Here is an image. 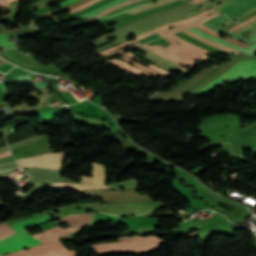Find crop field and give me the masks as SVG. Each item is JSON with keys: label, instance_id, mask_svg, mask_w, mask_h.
<instances>
[{"label": "crop field", "instance_id": "obj_39", "mask_svg": "<svg viewBox=\"0 0 256 256\" xmlns=\"http://www.w3.org/2000/svg\"><path fill=\"white\" fill-rule=\"evenodd\" d=\"M255 33H256V29L253 30L252 32L248 33V34H249V36H251V35H253V34H255ZM248 34H247V35H248ZM247 35H245L244 37H246Z\"/></svg>", "mask_w": 256, "mask_h": 256}, {"label": "crop field", "instance_id": "obj_29", "mask_svg": "<svg viewBox=\"0 0 256 256\" xmlns=\"http://www.w3.org/2000/svg\"><path fill=\"white\" fill-rule=\"evenodd\" d=\"M139 45H141V44H140V43H136V44L131 45V46L126 47V48H136V47H138ZM126 48H123V49H121V50H118V51H115V52H112V53H109V54H106V55H103L102 57L107 58V57H110V56H113V55L122 53L123 50L126 49Z\"/></svg>", "mask_w": 256, "mask_h": 256}, {"label": "crop field", "instance_id": "obj_43", "mask_svg": "<svg viewBox=\"0 0 256 256\" xmlns=\"http://www.w3.org/2000/svg\"><path fill=\"white\" fill-rule=\"evenodd\" d=\"M255 23H256V20H255L254 22L250 23V25H253V24H255Z\"/></svg>", "mask_w": 256, "mask_h": 256}, {"label": "crop field", "instance_id": "obj_26", "mask_svg": "<svg viewBox=\"0 0 256 256\" xmlns=\"http://www.w3.org/2000/svg\"><path fill=\"white\" fill-rule=\"evenodd\" d=\"M170 36H172V37L175 38L177 41H179V42H181V43H183V44H185V45H187V46H189V47H192V48H194V49H197V50H200V51H202V52L207 53L206 50L201 49V48H198V47H196V46H194V45H192V44L186 42L185 40L181 39L180 37H178V36H176V35H174V34H172V35H170ZM207 54H209V53H207ZM209 55H211V54H209ZM211 56H214V55H211Z\"/></svg>", "mask_w": 256, "mask_h": 256}, {"label": "crop field", "instance_id": "obj_32", "mask_svg": "<svg viewBox=\"0 0 256 256\" xmlns=\"http://www.w3.org/2000/svg\"><path fill=\"white\" fill-rule=\"evenodd\" d=\"M76 1H78V0H68V1L60 3V6L63 7L65 5H67V4H70V3H73V2H76Z\"/></svg>", "mask_w": 256, "mask_h": 256}, {"label": "crop field", "instance_id": "obj_25", "mask_svg": "<svg viewBox=\"0 0 256 256\" xmlns=\"http://www.w3.org/2000/svg\"><path fill=\"white\" fill-rule=\"evenodd\" d=\"M125 55H127V56H129V57H131V58H133V59H135V60H137L136 57H135V55H133V54L130 53V52L126 53ZM137 61H138V60H137ZM139 62H140V61H139ZM141 63H142V62H141ZM143 64H144V63H143ZM145 65H146V64H145ZM147 66H149V67H151V68H153V69H155V70H157V71H159V72H161V73H163V74H165V75L170 76L169 72L163 70V69L160 68V67H157V66L152 65V64H149V65H147Z\"/></svg>", "mask_w": 256, "mask_h": 256}, {"label": "crop field", "instance_id": "obj_21", "mask_svg": "<svg viewBox=\"0 0 256 256\" xmlns=\"http://www.w3.org/2000/svg\"><path fill=\"white\" fill-rule=\"evenodd\" d=\"M197 28H199V29H201V30H203V31H206V32H208V33H210V34H212V35H214V36H216V37H219V34H218V33L214 32V31H212V30H209V29H207L206 27H204V26H202V25L197 26ZM219 38H220V37H219ZM226 40H228V41H230V42H233V43H235V44H237V45H240V46H242V47L250 46L249 44L242 43V42H240V41H238V40H236V39L230 38V37H226Z\"/></svg>", "mask_w": 256, "mask_h": 256}, {"label": "crop field", "instance_id": "obj_41", "mask_svg": "<svg viewBox=\"0 0 256 256\" xmlns=\"http://www.w3.org/2000/svg\"><path fill=\"white\" fill-rule=\"evenodd\" d=\"M192 1L198 3V2H200V1H202V0H192Z\"/></svg>", "mask_w": 256, "mask_h": 256}, {"label": "crop field", "instance_id": "obj_5", "mask_svg": "<svg viewBox=\"0 0 256 256\" xmlns=\"http://www.w3.org/2000/svg\"><path fill=\"white\" fill-rule=\"evenodd\" d=\"M136 190H95V191H79L82 195L99 198L107 203L113 202H131V201H153L148 196H139L135 194Z\"/></svg>", "mask_w": 256, "mask_h": 256}, {"label": "crop field", "instance_id": "obj_28", "mask_svg": "<svg viewBox=\"0 0 256 256\" xmlns=\"http://www.w3.org/2000/svg\"><path fill=\"white\" fill-rule=\"evenodd\" d=\"M13 168H16L15 161L4 163V164H0V171L11 170Z\"/></svg>", "mask_w": 256, "mask_h": 256}, {"label": "crop field", "instance_id": "obj_19", "mask_svg": "<svg viewBox=\"0 0 256 256\" xmlns=\"http://www.w3.org/2000/svg\"><path fill=\"white\" fill-rule=\"evenodd\" d=\"M155 1H157V0H144V1L136 2V3H133V4L128 5L126 7L120 8V9H118V10H116V11H114V12H112V13L104 16V17H110V16L116 15V14L122 12V11L132 9L136 6L143 5V4H146V3H149V2H155Z\"/></svg>", "mask_w": 256, "mask_h": 256}, {"label": "crop field", "instance_id": "obj_16", "mask_svg": "<svg viewBox=\"0 0 256 256\" xmlns=\"http://www.w3.org/2000/svg\"><path fill=\"white\" fill-rule=\"evenodd\" d=\"M137 50H139V51H141V52H143V53H145V54H147V55H149V56H151V57L157 59L158 61H160V62H162V63H164V64H166V65H169V66H172V67H175V66H176L177 69L182 70V71H185V72L190 71V69L183 68V67H181V66H179V65H176L177 63L174 64V63H172V62H170V61H168V60H165V59H163V58L157 56L156 54H154V53H152V52H150V51H148V50H146V49H144V48H142V47L139 48V49H137Z\"/></svg>", "mask_w": 256, "mask_h": 256}, {"label": "crop field", "instance_id": "obj_23", "mask_svg": "<svg viewBox=\"0 0 256 256\" xmlns=\"http://www.w3.org/2000/svg\"><path fill=\"white\" fill-rule=\"evenodd\" d=\"M111 187L115 189L137 188L135 180L125 181L123 183H114Z\"/></svg>", "mask_w": 256, "mask_h": 256}, {"label": "crop field", "instance_id": "obj_9", "mask_svg": "<svg viewBox=\"0 0 256 256\" xmlns=\"http://www.w3.org/2000/svg\"><path fill=\"white\" fill-rule=\"evenodd\" d=\"M48 220H51L49 215L43 216V217H40V218H36V219H33V220L21 222V223H18V224H14V225H11V227L16 232H19L23 229H26L28 227H32L36 224H39V223H42V222H45V221H48ZM11 227L6 222L0 224V239L8 237V236L16 233Z\"/></svg>", "mask_w": 256, "mask_h": 256}, {"label": "crop field", "instance_id": "obj_2", "mask_svg": "<svg viewBox=\"0 0 256 256\" xmlns=\"http://www.w3.org/2000/svg\"><path fill=\"white\" fill-rule=\"evenodd\" d=\"M164 243L163 239L155 236L149 237H121L118 243H101L90 245L100 255L114 253H144L151 251Z\"/></svg>", "mask_w": 256, "mask_h": 256}, {"label": "crop field", "instance_id": "obj_15", "mask_svg": "<svg viewBox=\"0 0 256 256\" xmlns=\"http://www.w3.org/2000/svg\"><path fill=\"white\" fill-rule=\"evenodd\" d=\"M183 32L186 33L187 35H189V36H191V37H193V38H195V39H197V40L203 42V43H206V44H209V45H211V46H214V47H216V48H218V49H220V50H224V51L231 52V53H235V54L239 53V51L230 49V48H228V47L219 45V44L214 43V42H211V41H209V40H207V39H205V38H202V37H200V36H198V35L192 33V32L189 31V30L183 31Z\"/></svg>", "mask_w": 256, "mask_h": 256}, {"label": "crop field", "instance_id": "obj_27", "mask_svg": "<svg viewBox=\"0 0 256 256\" xmlns=\"http://www.w3.org/2000/svg\"><path fill=\"white\" fill-rule=\"evenodd\" d=\"M97 1H99V0H91V1H89V2H87V3H85V4H83V5H81V6L77 7V8H75V9L70 10V11H69V14L75 13V12H78V11H81V10H83V9H85V8H87V7H89L90 5L94 4V3L97 2Z\"/></svg>", "mask_w": 256, "mask_h": 256}, {"label": "crop field", "instance_id": "obj_31", "mask_svg": "<svg viewBox=\"0 0 256 256\" xmlns=\"http://www.w3.org/2000/svg\"><path fill=\"white\" fill-rule=\"evenodd\" d=\"M251 26H244V27H242V28H240V29H238V30H236V31H234L233 33H235V34H238V33H240V32H242V31H244V30H246V29H248V28H250Z\"/></svg>", "mask_w": 256, "mask_h": 256}, {"label": "crop field", "instance_id": "obj_36", "mask_svg": "<svg viewBox=\"0 0 256 256\" xmlns=\"http://www.w3.org/2000/svg\"><path fill=\"white\" fill-rule=\"evenodd\" d=\"M4 1H5V0H0V6L7 7V8H8L9 4L5 3Z\"/></svg>", "mask_w": 256, "mask_h": 256}, {"label": "crop field", "instance_id": "obj_10", "mask_svg": "<svg viewBox=\"0 0 256 256\" xmlns=\"http://www.w3.org/2000/svg\"><path fill=\"white\" fill-rule=\"evenodd\" d=\"M189 29H190L191 31H193L194 33H196V34H198V35H200V36H202V37H205V38H207V39H210V40H212V41H214V42H217V43H219V44L228 46V47H230V48H233V49H236V50H239V51H242V52L247 53V54H250V55H252V56H254V55L256 54V47H255V46H256V43L253 44L252 46H250V47L244 49V48H241V47H239V46H237V45L230 44V43H228V42H226V41H224V40H222V39L213 37V36H211V35H209V34L203 32V31H201V30H199V29H197V28H195V27L189 28ZM248 39L256 41V34L253 35L252 37L248 38Z\"/></svg>", "mask_w": 256, "mask_h": 256}, {"label": "crop field", "instance_id": "obj_4", "mask_svg": "<svg viewBox=\"0 0 256 256\" xmlns=\"http://www.w3.org/2000/svg\"><path fill=\"white\" fill-rule=\"evenodd\" d=\"M256 76V59L248 61H239L232 68L226 70L215 79L210 81L196 93L191 96H197L202 93H207L215 89L221 83L232 82V81H248Z\"/></svg>", "mask_w": 256, "mask_h": 256}, {"label": "crop field", "instance_id": "obj_1", "mask_svg": "<svg viewBox=\"0 0 256 256\" xmlns=\"http://www.w3.org/2000/svg\"><path fill=\"white\" fill-rule=\"evenodd\" d=\"M75 216H79V215H75ZM75 216H71V217H75ZM90 216L91 215H84L76 218H71V217L60 218V219L71 218V219L61 220L62 222L68 223L70 225V228L63 229L60 227H56L44 232L32 234V236H34L41 243L56 241L58 240V237L68 234L70 232L76 231V229H79L87 225L90 220ZM32 236L26 231H24V232L15 234L7 239L1 240L0 255L14 252L25 247L40 244V242H38Z\"/></svg>", "mask_w": 256, "mask_h": 256}, {"label": "crop field", "instance_id": "obj_37", "mask_svg": "<svg viewBox=\"0 0 256 256\" xmlns=\"http://www.w3.org/2000/svg\"><path fill=\"white\" fill-rule=\"evenodd\" d=\"M255 19H256V16H254L251 19L247 20L246 22H244V24H248V23L254 21Z\"/></svg>", "mask_w": 256, "mask_h": 256}, {"label": "crop field", "instance_id": "obj_22", "mask_svg": "<svg viewBox=\"0 0 256 256\" xmlns=\"http://www.w3.org/2000/svg\"><path fill=\"white\" fill-rule=\"evenodd\" d=\"M136 1H140V0H127V1L122 2V3H120V4L114 5V6L110 7V8H108V9H106V10H104V11L98 13V14L95 15V16H103V15H105V14H107V13H109V12H111V11L117 9V8L126 6V5L131 4V3H133V2H136Z\"/></svg>", "mask_w": 256, "mask_h": 256}, {"label": "crop field", "instance_id": "obj_35", "mask_svg": "<svg viewBox=\"0 0 256 256\" xmlns=\"http://www.w3.org/2000/svg\"><path fill=\"white\" fill-rule=\"evenodd\" d=\"M242 26H244V25H243V24H239V25H237V26H235V27L229 29L228 31L232 32V31H234V30H236V29H238V28H240V27H242Z\"/></svg>", "mask_w": 256, "mask_h": 256}, {"label": "crop field", "instance_id": "obj_17", "mask_svg": "<svg viewBox=\"0 0 256 256\" xmlns=\"http://www.w3.org/2000/svg\"><path fill=\"white\" fill-rule=\"evenodd\" d=\"M174 1H177V0H162V1H159V2L154 3V4H150V5L138 7V8L133 9V10H129V11L125 12V13L136 14V13L144 11L146 9L154 8V7H157V6H160V5H163V4H167V3H171V2H174Z\"/></svg>", "mask_w": 256, "mask_h": 256}, {"label": "crop field", "instance_id": "obj_42", "mask_svg": "<svg viewBox=\"0 0 256 256\" xmlns=\"http://www.w3.org/2000/svg\"><path fill=\"white\" fill-rule=\"evenodd\" d=\"M13 1H15V0H7L6 2H9V3H11V2H13Z\"/></svg>", "mask_w": 256, "mask_h": 256}, {"label": "crop field", "instance_id": "obj_8", "mask_svg": "<svg viewBox=\"0 0 256 256\" xmlns=\"http://www.w3.org/2000/svg\"><path fill=\"white\" fill-rule=\"evenodd\" d=\"M213 11H215V10L208 9V10L202 12L201 14H199V15H197V16H193V17L186 18V19H183V20H180V21H177V22H173V23H170V24L161 26V27L154 28V29H152V30H149V31H147V32H145V33H142V34L136 36L135 39H133V40H131V41H126V42H124V43H122V44H120V45H116V46H114V47H111V48H109V49H106V50L101 51V52L96 53V54L99 55V56H101V55L106 54V53H108V52H111V51H113V50H115V49H118V48H121V47H123V46H126V45H128V44H130V43L136 42V41H138V40H140V39H142V38L148 37V36H150V35H152V34H154V33H156V32L162 31V30H164V29H166V28H169V27H172V26H178V25H181V24H184V23H188V22L194 21V20H196V19L202 18V17H204L205 15H207V14L213 12Z\"/></svg>", "mask_w": 256, "mask_h": 256}, {"label": "crop field", "instance_id": "obj_34", "mask_svg": "<svg viewBox=\"0 0 256 256\" xmlns=\"http://www.w3.org/2000/svg\"><path fill=\"white\" fill-rule=\"evenodd\" d=\"M8 155H11L10 150H8V151H6V152H3V153H0V158L5 157V156H8Z\"/></svg>", "mask_w": 256, "mask_h": 256}, {"label": "crop field", "instance_id": "obj_24", "mask_svg": "<svg viewBox=\"0 0 256 256\" xmlns=\"http://www.w3.org/2000/svg\"><path fill=\"white\" fill-rule=\"evenodd\" d=\"M227 1L228 0H215L214 2L211 3L210 0H205V1L200 2L199 4H202V5H205V6L209 7V8L218 10V8L216 7V4L218 2H221L223 4V3L227 2ZM222 4H220V5H222Z\"/></svg>", "mask_w": 256, "mask_h": 256}, {"label": "crop field", "instance_id": "obj_14", "mask_svg": "<svg viewBox=\"0 0 256 256\" xmlns=\"http://www.w3.org/2000/svg\"><path fill=\"white\" fill-rule=\"evenodd\" d=\"M219 14H221V13L215 12V13L210 14V15H208V16H206V17L200 19V20H197V21L193 22V23H190V24H187V25H183V26H179V27L170 28V29L164 30V31H162V32H159V34H160L161 36H165V35H168V34L177 32V31H179V30H183V29L189 28V27H191V26L198 25V24L202 23L203 21H205V20H207V19H210V18H212V17H214V16H216V15H219Z\"/></svg>", "mask_w": 256, "mask_h": 256}, {"label": "crop field", "instance_id": "obj_40", "mask_svg": "<svg viewBox=\"0 0 256 256\" xmlns=\"http://www.w3.org/2000/svg\"><path fill=\"white\" fill-rule=\"evenodd\" d=\"M35 256H49L47 253L40 254V255H35Z\"/></svg>", "mask_w": 256, "mask_h": 256}, {"label": "crop field", "instance_id": "obj_33", "mask_svg": "<svg viewBox=\"0 0 256 256\" xmlns=\"http://www.w3.org/2000/svg\"><path fill=\"white\" fill-rule=\"evenodd\" d=\"M235 0H230L227 3H225L224 5H222L221 7H219V11L223 10L225 7H227L229 4H231L232 2H234Z\"/></svg>", "mask_w": 256, "mask_h": 256}, {"label": "crop field", "instance_id": "obj_20", "mask_svg": "<svg viewBox=\"0 0 256 256\" xmlns=\"http://www.w3.org/2000/svg\"><path fill=\"white\" fill-rule=\"evenodd\" d=\"M122 1H124V0H115V1H112V2H110V3H108V4H106V5H104V6L100 7V8H98V9L92 10V11H90V12H88V13H85V14H83V15L77 17V18H86V17L93 16V15H95L96 13H98V12H100V11H102V10H104V9H106V8H108V7L112 6V5H114V4L120 3V2H122Z\"/></svg>", "mask_w": 256, "mask_h": 256}, {"label": "crop field", "instance_id": "obj_11", "mask_svg": "<svg viewBox=\"0 0 256 256\" xmlns=\"http://www.w3.org/2000/svg\"><path fill=\"white\" fill-rule=\"evenodd\" d=\"M106 62H108V63H110V64H112V65L122 69L123 71H125V72H127V73H129V74H131L133 76H136V77H138L140 79H142L141 76H144L147 79L158 78L156 76L150 75L149 73H147V72H145V71H143V70H141V69H139L137 67L129 65V64H127V63H125V62H123V61H121L119 59H112V60H109V61H106Z\"/></svg>", "mask_w": 256, "mask_h": 256}, {"label": "crop field", "instance_id": "obj_12", "mask_svg": "<svg viewBox=\"0 0 256 256\" xmlns=\"http://www.w3.org/2000/svg\"><path fill=\"white\" fill-rule=\"evenodd\" d=\"M106 171L104 165L93 163V177L85 178L82 176L81 183L105 185Z\"/></svg>", "mask_w": 256, "mask_h": 256}, {"label": "crop field", "instance_id": "obj_6", "mask_svg": "<svg viewBox=\"0 0 256 256\" xmlns=\"http://www.w3.org/2000/svg\"><path fill=\"white\" fill-rule=\"evenodd\" d=\"M64 157L65 152H57L25 158L17 160L16 162L20 168L29 166H43L51 169H60L62 168Z\"/></svg>", "mask_w": 256, "mask_h": 256}, {"label": "crop field", "instance_id": "obj_38", "mask_svg": "<svg viewBox=\"0 0 256 256\" xmlns=\"http://www.w3.org/2000/svg\"><path fill=\"white\" fill-rule=\"evenodd\" d=\"M232 21L231 20H229V21H227V22H225V23H223V24H221V25H219L218 27H223V26H225V25H227V24H229V23H231Z\"/></svg>", "mask_w": 256, "mask_h": 256}, {"label": "crop field", "instance_id": "obj_13", "mask_svg": "<svg viewBox=\"0 0 256 256\" xmlns=\"http://www.w3.org/2000/svg\"><path fill=\"white\" fill-rule=\"evenodd\" d=\"M51 188L63 189V190H86V189H109L110 187H101V186H89V185H74V184H53ZM112 189V188H111Z\"/></svg>", "mask_w": 256, "mask_h": 256}, {"label": "crop field", "instance_id": "obj_3", "mask_svg": "<svg viewBox=\"0 0 256 256\" xmlns=\"http://www.w3.org/2000/svg\"><path fill=\"white\" fill-rule=\"evenodd\" d=\"M164 38L171 43L170 45L167 46V48H169L177 53H180L182 55H185V56H187L193 60H196V61H210L209 58L207 57V55H205L199 51H196L194 49H191L185 45L180 44L172 37L168 36V37H164ZM143 47L153 51L154 53H156L168 60L177 62V63L182 64L187 67L193 68V66L196 64V62H193L180 54L172 52L161 45L148 46L145 44V45H143ZM199 57H201L202 60H198Z\"/></svg>", "mask_w": 256, "mask_h": 256}, {"label": "crop field", "instance_id": "obj_7", "mask_svg": "<svg viewBox=\"0 0 256 256\" xmlns=\"http://www.w3.org/2000/svg\"><path fill=\"white\" fill-rule=\"evenodd\" d=\"M45 251H47L50 256H75V251H67L61 242L41 244L31 247L29 251L21 250L3 256H30Z\"/></svg>", "mask_w": 256, "mask_h": 256}, {"label": "crop field", "instance_id": "obj_18", "mask_svg": "<svg viewBox=\"0 0 256 256\" xmlns=\"http://www.w3.org/2000/svg\"><path fill=\"white\" fill-rule=\"evenodd\" d=\"M121 58L125 59L126 61L130 62L131 64H133V65H135V66H137V67H139L143 70H146V71H148V72H150V73H152V74H154L158 77H162V78L168 77V76H164V75H162V74H160V73H158V72H156V71H154V70H152V69H150V68H148V67H146V66H144V65H142V64L126 57V56H124V55L121 56Z\"/></svg>", "mask_w": 256, "mask_h": 256}, {"label": "crop field", "instance_id": "obj_30", "mask_svg": "<svg viewBox=\"0 0 256 256\" xmlns=\"http://www.w3.org/2000/svg\"><path fill=\"white\" fill-rule=\"evenodd\" d=\"M255 9H256V6L253 7V8H251V9H249L248 11H246V12H244V13H242V14L236 16V17H234L233 19H235V20L237 21L238 19H241L242 17H244V16H246L247 14L251 13V12L254 11Z\"/></svg>", "mask_w": 256, "mask_h": 256}]
</instances>
